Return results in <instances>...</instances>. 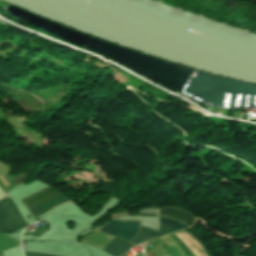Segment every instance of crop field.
<instances>
[{
	"instance_id": "8a807250",
	"label": "crop field",
	"mask_w": 256,
	"mask_h": 256,
	"mask_svg": "<svg viewBox=\"0 0 256 256\" xmlns=\"http://www.w3.org/2000/svg\"><path fill=\"white\" fill-rule=\"evenodd\" d=\"M66 200L68 199L48 186L21 201L27 207L32 219H34Z\"/></svg>"
},
{
	"instance_id": "ac0d7876",
	"label": "crop field",
	"mask_w": 256,
	"mask_h": 256,
	"mask_svg": "<svg viewBox=\"0 0 256 256\" xmlns=\"http://www.w3.org/2000/svg\"><path fill=\"white\" fill-rule=\"evenodd\" d=\"M25 222L17 212L11 199L0 201V232L5 234L16 231L23 226Z\"/></svg>"
},
{
	"instance_id": "34b2d1b8",
	"label": "crop field",
	"mask_w": 256,
	"mask_h": 256,
	"mask_svg": "<svg viewBox=\"0 0 256 256\" xmlns=\"http://www.w3.org/2000/svg\"><path fill=\"white\" fill-rule=\"evenodd\" d=\"M160 222L167 225V226H170L176 230L178 229H181L183 227H186L184 225H181L177 222H174V221H171V220H168V219H164V218H161L160 217ZM160 223V227H159V230L158 232L155 231V230H152V229H148V228H145V227H140V232L135 236V238L131 241V243L135 244V245H138L146 240H149L151 238H154V237H158V236H161V235H165V234H168L170 232H173V231H176L170 227H167L163 224Z\"/></svg>"
},
{
	"instance_id": "412701ff",
	"label": "crop field",
	"mask_w": 256,
	"mask_h": 256,
	"mask_svg": "<svg viewBox=\"0 0 256 256\" xmlns=\"http://www.w3.org/2000/svg\"><path fill=\"white\" fill-rule=\"evenodd\" d=\"M138 226L139 222H109L100 231L129 242L137 233Z\"/></svg>"
},
{
	"instance_id": "f4fd0767",
	"label": "crop field",
	"mask_w": 256,
	"mask_h": 256,
	"mask_svg": "<svg viewBox=\"0 0 256 256\" xmlns=\"http://www.w3.org/2000/svg\"><path fill=\"white\" fill-rule=\"evenodd\" d=\"M159 215L169 219H175L188 226H191L192 222L194 221L193 216L177 208L159 209Z\"/></svg>"
},
{
	"instance_id": "dd49c442",
	"label": "crop field",
	"mask_w": 256,
	"mask_h": 256,
	"mask_svg": "<svg viewBox=\"0 0 256 256\" xmlns=\"http://www.w3.org/2000/svg\"><path fill=\"white\" fill-rule=\"evenodd\" d=\"M130 246L128 243L115 238L103 251L112 256H119L129 250Z\"/></svg>"
},
{
	"instance_id": "e52e79f7",
	"label": "crop field",
	"mask_w": 256,
	"mask_h": 256,
	"mask_svg": "<svg viewBox=\"0 0 256 256\" xmlns=\"http://www.w3.org/2000/svg\"><path fill=\"white\" fill-rule=\"evenodd\" d=\"M25 256H47V255H41V254H36V253H31V252H24Z\"/></svg>"
}]
</instances>
